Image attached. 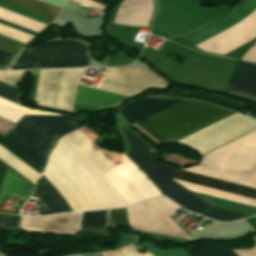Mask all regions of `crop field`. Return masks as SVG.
Listing matches in <instances>:
<instances>
[{
  "instance_id": "1",
  "label": "crop field",
  "mask_w": 256,
  "mask_h": 256,
  "mask_svg": "<svg viewBox=\"0 0 256 256\" xmlns=\"http://www.w3.org/2000/svg\"><path fill=\"white\" fill-rule=\"evenodd\" d=\"M119 165L78 130L59 141L43 174L74 211L118 208L126 204L102 173ZM44 176L34 192L51 210L39 215L73 211Z\"/></svg>"
},
{
  "instance_id": "2",
  "label": "crop field",
  "mask_w": 256,
  "mask_h": 256,
  "mask_svg": "<svg viewBox=\"0 0 256 256\" xmlns=\"http://www.w3.org/2000/svg\"><path fill=\"white\" fill-rule=\"evenodd\" d=\"M178 101L180 100L141 97L118 111L130 124ZM184 101L186 100L145 117L135 124ZM232 113L234 112L217 106L188 100L137 124V126L159 142L169 139L179 140Z\"/></svg>"
},
{
  "instance_id": "3",
  "label": "crop field",
  "mask_w": 256,
  "mask_h": 256,
  "mask_svg": "<svg viewBox=\"0 0 256 256\" xmlns=\"http://www.w3.org/2000/svg\"><path fill=\"white\" fill-rule=\"evenodd\" d=\"M80 127L83 125L75 116H24L0 136V145L42 173L59 138Z\"/></svg>"
},
{
  "instance_id": "4",
  "label": "crop field",
  "mask_w": 256,
  "mask_h": 256,
  "mask_svg": "<svg viewBox=\"0 0 256 256\" xmlns=\"http://www.w3.org/2000/svg\"><path fill=\"white\" fill-rule=\"evenodd\" d=\"M182 170L256 188V129Z\"/></svg>"
},
{
  "instance_id": "5",
  "label": "crop field",
  "mask_w": 256,
  "mask_h": 256,
  "mask_svg": "<svg viewBox=\"0 0 256 256\" xmlns=\"http://www.w3.org/2000/svg\"><path fill=\"white\" fill-rule=\"evenodd\" d=\"M101 84L115 89L128 96L144 91L147 87H163L166 82L154 73L131 68H105ZM86 87L78 84L75 103L93 109L117 106L128 97L103 85Z\"/></svg>"
},
{
  "instance_id": "6",
  "label": "crop field",
  "mask_w": 256,
  "mask_h": 256,
  "mask_svg": "<svg viewBox=\"0 0 256 256\" xmlns=\"http://www.w3.org/2000/svg\"><path fill=\"white\" fill-rule=\"evenodd\" d=\"M121 128L129 145L127 156L145 172L166 197L192 212L203 213L208 210L210 205L171 180L179 170L161 162L149 146L123 126Z\"/></svg>"
},
{
  "instance_id": "7",
  "label": "crop field",
  "mask_w": 256,
  "mask_h": 256,
  "mask_svg": "<svg viewBox=\"0 0 256 256\" xmlns=\"http://www.w3.org/2000/svg\"><path fill=\"white\" fill-rule=\"evenodd\" d=\"M87 44L80 41L46 42L22 50L11 69L88 66Z\"/></svg>"
},
{
  "instance_id": "8",
  "label": "crop field",
  "mask_w": 256,
  "mask_h": 256,
  "mask_svg": "<svg viewBox=\"0 0 256 256\" xmlns=\"http://www.w3.org/2000/svg\"><path fill=\"white\" fill-rule=\"evenodd\" d=\"M80 69L40 70L33 101L38 106L71 112Z\"/></svg>"
},
{
  "instance_id": "9",
  "label": "crop field",
  "mask_w": 256,
  "mask_h": 256,
  "mask_svg": "<svg viewBox=\"0 0 256 256\" xmlns=\"http://www.w3.org/2000/svg\"><path fill=\"white\" fill-rule=\"evenodd\" d=\"M178 208L164 198H154L126 208L129 228L191 239L169 219Z\"/></svg>"
},
{
  "instance_id": "10",
  "label": "crop field",
  "mask_w": 256,
  "mask_h": 256,
  "mask_svg": "<svg viewBox=\"0 0 256 256\" xmlns=\"http://www.w3.org/2000/svg\"><path fill=\"white\" fill-rule=\"evenodd\" d=\"M254 128H256L255 121L241 114H235L178 142L204 154Z\"/></svg>"
},
{
  "instance_id": "11",
  "label": "crop field",
  "mask_w": 256,
  "mask_h": 256,
  "mask_svg": "<svg viewBox=\"0 0 256 256\" xmlns=\"http://www.w3.org/2000/svg\"><path fill=\"white\" fill-rule=\"evenodd\" d=\"M123 165L104 173L127 205L161 195L147 177L122 154Z\"/></svg>"
},
{
  "instance_id": "12",
  "label": "crop field",
  "mask_w": 256,
  "mask_h": 256,
  "mask_svg": "<svg viewBox=\"0 0 256 256\" xmlns=\"http://www.w3.org/2000/svg\"><path fill=\"white\" fill-rule=\"evenodd\" d=\"M174 179L250 197L256 199V189L184 172V171H179V173L174 177ZM202 215L214 218L216 220H221V221H231L243 217H247L248 215L244 214H239V213H234L230 211H225L217 208L211 207L208 213H203Z\"/></svg>"
},
{
  "instance_id": "13",
  "label": "crop field",
  "mask_w": 256,
  "mask_h": 256,
  "mask_svg": "<svg viewBox=\"0 0 256 256\" xmlns=\"http://www.w3.org/2000/svg\"><path fill=\"white\" fill-rule=\"evenodd\" d=\"M157 5L158 13L152 26L173 36H180L206 24L162 3Z\"/></svg>"
},
{
  "instance_id": "14",
  "label": "crop field",
  "mask_w": 256,
  "mask_h": 256,
  "mask_svg": "<svg viewBox=\"0 0 256 256\" xmlns=\"http://www.w3.org/2000/svg\"><path fill=\"white\" fill-rule=\"evenodd\" d=\"M256 8L255 0H244L235 9L228 12L219 20L182 37L196 45L230 27L237 21L249 15Z\"/></svg>"
},
{
  "instance_id": "15",
  "label": "crop field",
  "mask_w": 256,
  "mask_h": 256,
  "mask_svg": "<svg viewBox=\"0 0 256 256\" xmlns=\"http://www.w3.org/2000/svg\"><path fill=\"white\" fill-rule=\"evenodd\" d=\"M82 213L59 214L46 217H22L20 228L37 231L77 232Z\"/></svg>"
},
{
  "instance_id": "16",
  "label": "crop field",
  "mask_w": 256,
  "mask_h": 256,
  "mask_svg": "<svg viewBox=\"0 0 256 256\" xmlns=\"http://www.w3.org/2000/svg\"><path fill=\"white\" fill-rule=\"evenodd\" d=\"M34 186L0 161V203L4 195L26 199Z\"/></svg>"
},
{
  "instance_id": "17",
  "label": "crop field",
  "mask_w": 256,
  "mask_h": 256,
  "mask_svg": "<svg viewBox=\"0 0 256 256\" xmlns=\"http://www.w3.org/2000/svg\"><path fill=\"white\" fill-rule=\"evenodd\" d=\"M229 92L256 99V64L241 62Z\"/></svg>"
},
{
  "instance_id": "18",
  "label": "crop field",
  "mask_w": 256,
  "mask_h": 256,
  "mask_svg": "<svg viewBox=\"0 0 256 256\" xmlns=\"http://www.w3.org/2000/svg\"><path fill=\"white\" fill-rule=\"evenodd\" d=\"M145 247L155 256H256V245L247 250H233L237 255L232 250H186L189 255L185 250L160 251L149 246Z\"/></svg>"
},
{
  "instance_id": "19",
  "label": "crop field",
  "mask_w": 256,
  "mask_h": 256,
  "mask_svg": "<svg viewBox=\"0 0 256 256\" xmlns=\"http://www.w3.org/2000/svg\"><path fill=\"white\" fill-rule=\"evenodd\" d=\"M169 97L176 98H191L197 99L205 102L214 103L228 109L244 113L245 107L244 105L236 102L229 101L227 99L220 98L218 96H213L205 93L194 92V91H185V90H177L174 89Z\"/></svg>"
},
{
  "instance_id": "20",
  "label": "crop field",
  "mask_w": 256,
  "mask_h": 256,
  "mask_svg": "<svg viewBox=\"0 0 256 256\" xmlns=\"http://www.w3.org/2000/svg\"><path fill=\"white\" fill-rule=\"evenodd\" d=\"M23 115H61V114L19 106L0 98V117L16 123Z\"/></svg>"
},
{
  "instance_id": "21",
  "label": "crop field",
  "mask_w": 256,
  "mask_h": 256,
  "mask_svg": "<svg viewBox=\"0 0 256 256\" xmlns=\"http://www.w3.org/2000/svg\"><path fill=\"white\" fill-rule=\"evenodd\" d=\"M14 6L23 8L41 16L54 20L59 8L40 2L38 0H1Z\"/></svg>"
},
{
  "instance_id": "22",
  "label": "crop field",
  "mask_w": 256,
  "mask_h": 256,
  "mask_svg": "<svg viewBox=\"0 0 256 256\" xmlns=\"http://www.w3.org/2000/svg\"><path fill=\"white\" fill-rule=\"evenodd\" d=\"M0 159L10 165L12 168L21 173L25 178L36 184L41 174L29 167L27 164L19 160L10 152L0 146Z\"/></svg>"
},
{
  "instance_id": "23",
  "label": "crop field",
  "mask_w": 256,
  "mask_h": 256,
  "mask_svg": "<svg viewBox=\"0 0 256 256\" xmlns=\"http://www.w3.org/2000/svg\"><path fill=\"white\" fill-rule=\"evenodd\" d=\"M0 7H1V8H4V9H7V10H9V11H12V12L18 13V14H20V15L26 16V17H28V18L34 19V20H36V21L42 22V23L47 24V25H50V23L52 22V20H49V19L44 18V17H41V16H39V15L30 13V12L25 11V10L19 9V8H17V7L11 6V5L6 4V3H3V2H0ZM0 23H2V24H4V25H7V26H10V27H12V28L21 30V31H23V32L29 33V34L34 35V36L39 35L38 33H35V32H33V31L24 29V28H22V27L13 25V24H11V23H8V22L2 21V20H0Z\"/></svg>"
},
{
  "instance_id": "24",
  "label": "crop field",
  "mask_w": 256,
  "mask_h": 256,
  "mask_svg": "<svg viewBox=\"0 0 256 256\" xmlns=\"http://www.w3.org/2000/svg\"><path fill=\"white\" fill-rule=\"evenodd\" d=\"M108 211L83 213L81 228L107 227Z\"/></svg>"
},
{
  "instance_id": "25",
  "label": "crop field",
  "mask_w": 256,
  "mask_h": 256,
  "mask_svg": "<svg viewBox=\"0 0 256 256\" xmlns=\"http://www.w3.org/2000/svg\"><path fill=\"white\" fill-rule=\"evenodd\" d=\"M25 75L26 73L24 71L0 72V81L17 87L18 85L22 84Z\"/></svg>"
},
{
  "instance_id": "26",
  "label": "crop field",
  "mask_w": 256,
  "mask_h": 256,
  "mask_svg": "<svg viewBox=\"0 0 256 256\" xmlns=\"http://www.w3.org/2000/svg\"><path fill=\"white\" fill-rule=\"evenodd\" d=\"M0 34L11 37L25 44H27L30 40L34 38V36L16 31L3 25H0Z\"/></svg>"
},
{
  "instance_id": "27",
  "label": "crop field",
  "mask_w": 256,
  "mask_h": 256,
  "mask_svg": "<svg viewBox=\"0 0 256 256\" xmlns=\"http://www.w3.org/2000/svg\"><path fill=\"white\" fill-rule=\"evenodd\" d=\"M111 227L128 226L125 209L111 210Z\"/></svg>"
},
{
  "instance_id": "28",
  "label": "crop field",
  "mask_w": 256,
  "mask_h": 256,
  "mask_svg": "<svg viewBox=\"0 0 256 256\" xmlns=\"http://www.w3.org/2000/svg\"><path fill=\"white\" fill-rule=\"evenodd\" d=\"M18 90L0 82V97L20 104L18 101Z\"/></svg>"
},
{
  "instance_id": "29",
  "label": "crop field",
  "mask_w": 256,
  "mask_h": 256,
  "mask_svg": "<svg viewBox=\"0 0 256 256\" xmlns=\"http://www.w3.org/2000/svg\"><path fill=\"white\" fill-rule=\"evenodd\" d=\"M20 216L0 215V228H18Z\"/></svg>"
},
{
  "instance_id": "30",
  "label": "crop field",
  "mask_w": 256,
  "mask_h": 256,
  "mask_svg": "<svg viewBox=\"0 0 256 256\" xmlns=\"http://www.w3.org/2000/svg\"><path fill=\"white\" fill-rule=\"evenodd\" d=\"M72 1H74L78 5H81V6H84V7L94 8V9H101V10H105V8H106L105 6L107 5V3L103 2L102 0H92V1L100 3V4L105 5V6H102L100 4L94 3V2L89 1V0H72Z\"/></svg>"
},
{
  "instance_id": "31",
  "label": "crop field",
  "mask_w": 256,
  "mask_h": 256,
  "mask_svg": "<svg viewBox=\"0 0 256 256\" xmlns=\"http://www.w3.org/2000/svg\"><path fill=\"white\" fill-rule=\"evenodd\" d=\"M125 256H153L148 250L139 254L133 244L118 249Z\"/></svg>"
},
{
  "instance_id": "32",
  "label": "crop field",
  "mask_w": 256,
  "mask_h": 256,
  "mask_svg": "<svg viewBox=\"0 0 256 256\" xmlns=\"http://www.w3.org/2000/svg\"><path fill=\"white\" fill-rule=\"evenodd\" d=\"M15 55L0 50V70L7 69Z\"/></svg>"
},
{
  "instance_id": "33",
  "label": "crop field",
  "mask_w": 256,
  "mask_h": 256,
  "mask_svg": "<svg viewBox=\"0 0 256 256\" xmlns=\"http://www.w3.org/2000/svg\"><path fill=\"white\" fill-rule=\"evenodd\" d=\"M256 63V43L241 58Z\"/></svg>"
},
{
  "instance_id": "34",
  "label": "crop field",
  "mask_w": 256,
  "mask_h": 256,
  "mask_svg": "<svg viewBox=\"0 0 256 256\" xmlns=\"http://www.w3.org/2000/svg\"><path fill=\"white\" fill-rule=\"evenodd\" d=\"M102 256H122L116 249L108 252H102Z\"/></svg>"
},
{
  "instance_id": "35",
  "label": "crop field",
  "mask_w": 256,
  "mask_h": 256,
  "mask_svg": "<svg viewBox=\"0 0 256 256\" xmlns=\"http://www.w3.org/2000/svg\"><path fill=\"white\" fill-rule=\"evenodd\" d=\"M96 256H101V255H96Z\"/></svg>"
}]
</instances>
